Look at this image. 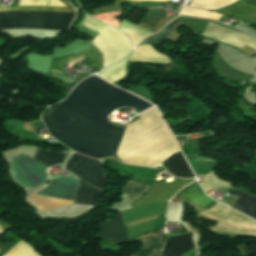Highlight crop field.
Returning <instances> with one entry per match:
<instances>
[{
	"label": "crop field",
	"instance_id": "8a807250",
	"mask_svg": "<svg viewBox=\"0 0 256 256\" xmlns=\"http://www.w3.org/2000/svg\"><path fill=\"white\" fill-rule=\"evenodd\" d=\"M60 104L122 132L105 117L123 106H132L140 112L152 106L95 76L82 81ZM61 105L51 106L42 115L50 134L86 156L99 159L114 154L123 133Z\"/></svg>",
	"mask_w": 256,
	"mask_h": 256
},
{
	"label": "crop field",
	"instance_id": "ac0d7876",
	"mask_svg": "<svg viewBox=\"0 0 256 256\" xmlns=\"http://www.w3.org/2000/svg\"><path fill=\"white\" fill-rule=\"evenodd\" d=\"M139 118L124 132L116 153L121 161L155 168L180 151L155 107L141 113Z\"/></svg>",
	"mask_w": 256,
	"mask_h": 256
},
{
	"label": "crop field",
	"instance_id": "34b2d1b8",
	"mask_svg": "<svg viewBox=\"0 0 256 256\" xmlns=\"http://www.w3.org/2000/svg\"><path fill=\"white\" fill-rule=\"evenodd\" d=\"M67 8L11 7L0 11L32 10L75 13V10L64 0H58ZM57 0H20L18 6L65 7ZM0 12V30L3 29H45L66 30L75 14L51 12Z\"/></svg>",
	"mask_w": 256,
	"mask_h": 256
},
{
	"label": "crop field",
	"instance_id": "412701ff",
	"mask_svg": "<svg viewBox=\"0 0 256 256\" xmlns=\"http://www.w3.org/2000/svg\"><path fill=\"white\" fill-rule=\"evenodd\" d=\"M82 26L99 34L92 44L103 54L104 68L132 50L124 35L88 15Z\"/></svg>",
	"mask_w": 256,
	"mask_h": 256
},
{
	"label": "crop field",
	"instance_id": "f4fd0767",
	"mask_svg": "<svg viewBox=\"0 0 256 256\" xmlns=\"http://www.w3.org/2000/svg\"><path fill=\"white\" fill-rule=\"evenodd\" d=\"M77 187V180L69 178H55L51 180V182L45 188L39 190L36 193L73 201ZM37 194H33L27 199L40 210H51L53 208L65 206L72 203L71 201L56 199Z\"/></svg>",
	"mask_w": 256,
	"mask_h": 256
},
{
	"label": "crop field",
	"instance_id": "dd49c442",
	"mask_svg": "<svg viewBox=\"0 0 256 256\" xmlns=\"http://www.w3.org/2000/svg\"><path fill=\"white\" fill-rule=\"evenodd\" d=\"M200 214L208 216L210 218L217 219L219 221L256 229V222L250 220L246 216L234 210L229 209L228 207L218 202L212 209H209ZM223 222H220L214 229L249 234V235H256V230L244 228L236 225H231Z\"/></svg>",
	"mask_w": 256,
	"mask_h": 256
},
{
	"label": "crop field",
	"instance_id": "e52e79f7",
	"mask_svg": "<svg viewBox=\"0 0 256 256\" xmlns=\"http://www.w3.org/2000/svg\"><path fill=\"white\" fill-rule=\"evenodd\" d=\"M12 167V175L23 186L36 187L46 177V166L25 156L19 155L8 160Z\"/></svg>",
	"mask_w": 256,
	"mask_h": 256
},
{
	"label": "crop field",
	"instance_id": "d8731c3e",
	"mask_svg": "<svg viewBox=\"0 0 256 256\" xmlns=\"http://www.w3.org/2000/svg\"><path fill=\"white\" fill-rule=\"evenodd\" d=\"M66 168L77 175L78 178L101 190L107 182L98 160L89 159L78 153L72 156Z\"/></svg>",
	"mask_w": 256,
	"mask_h": 256
},
{
	"label": "crop field",
	"instance_id": "5a996713",
	"mask_svg": "<svg viewBox=\"0 0 256 256\" xmlns=\"http://www.w3.org/2000/svg\"><path fill=\"white\" fill-rule=\"evenodd\" d=\"M195 179L174 178L173 182L154 184L149 192L142 198L131 203L132 207L140 206L146 203L159 202L169 199L179 188L191 183Z\"/></svg>",
	"mask_w": 256,
	"mask_h": 256
},
{
	"label": "crop field",
	"instance_id": "3316defc",
	"mask_svg": "<svg viewBox=\"0 0 256 256\" xmlns=\"http://www.w3.org/2000/svg\"><path fill=\"white\" fill-rule=\"evenodd\" d=\"M203 35L239 48L247 44L248 46L256 49L255 39L210 23H208Z\"/></svg>",
	"mask_w": 256,
	"mask_h": 256
},
{
	"label": "crop field",
	"instance_id": "28ad6ade",
	"mask_svg": "<svg viewBox=\"0 0 256 256\" xmlns=\"http://www.w3.org/2000/svg\"><path fill=\"white\" fill-rule=\"evenodd\" d=\"M99 236L113 244L128 242L120 212L99 225Z\"/></svg>",
	"mask_w": 256,
	"mask_h": 256
},
{
	"label": "crop field",
	"instance_id": "d1516ede",
	"mask_svg": "<svg viewBox=\"0 0 256 256\" xmlns=\"http://www.w3.org/2000/svg\"><path fill=\"white\" fill-rule=\"evenodd\" d=\"M192 248L194 246L190 233L171 236L165 242L162 256H181Z\"/></svg>",
	"mask_w": 256,
	"mask_h": 256
},
{
	"label": "crop field",
	"instance_id": "22f410ed",
	"mask_svg": "<svg viewBox=\"0 0 256 256\" xmlns=\"http://www.w3.org/2000/svg\"><path fill=\"white\" fill-rule=\"evenodd\" d=\"M175 197L182 198L204 208L211 206L215 201L209 199L201 190L198 182H194L181 190Z\"/></svg>",
	"mask_w": 256,
	"mask_h": 256
},
{
	"label": "crop field",
	"instance_id": "cbeb9de0",
	"mask_svg": "<svg viewBox=\"0 0 256 256\" xmlns=\"http://www.w3.org/2000/svg\"><path fill=\"white\" fill-rule=\"evenodd\" d=\"M162 164L172 175L183 178L195 177L181 152L172 155Z\"/></svg>",
	"mask_w": 256,
	"mask_h": 256
},
{
	"label": "crop field",
	"instance_id": "5142ce71",
	"mask_svg": "<svg viewBox=\"0 0 256 256\" xmlns=\"http://www.w3.org/2000/svg\"><path fill=\"white\" fill-rule=\"evenodd\" d=\"M129 61L170 63L169 58L156 52L149 45L137 47L131 54Z\"/></svg>",
	"mask_w": 256,
	"mask_h": 256
},
{
	"label": "crop field",
	"instance_id": "d9b57169",
	"mask_svg": "<svg viewBox=\"0 0 256 256\" xmlns=\"http://www.w3.org/2000/svg\"><path fill=\"white\" fill-rule=\"evenodd\" d=\"M217 11L240 17L248 21H256V8L250 6L246 0H240L235 4Z\"/></svg>",
	"mask_w": 256,
	"mask_h": 256
},
{
	"label": "crop field",
	"instance_id": "733c2abd",
	"mask_svg": "<svg viewBox=\"0 0 256 256\" xmlns=\"http://www.w3.org/2000/svg\"><path fill=\"white\" fill-rule=\"evenodd\" d=\"M229 190H238V189H229ZM238 191H243V192L249 193L244 190H238ZM238 191H229L230 194L241 195L240 198L237 200V202L234 206V209L239 210V211L243 212L244 214L256 219V198H254L248 194L238 192ZM249 194H251V193H249ZM251 195H253V194H251Z\"/></svg>",
	"mask_w": 256,
	"mask_h": 256
},
{
	"label": "crop field",
	"instance_id": "4a817a6b",
	"mask_svg": "<svg viewBox=\"0 0 256 256\" xmlns=\"http://www.w3.org/2000/svg\"><path fill=\"white\" fill-rule=\"evenodd\" d=\"M164 236L165 235H154L144 238L143 246L135 254V256H159Z\"/></svg>",
	"mask_w": 256,
	"mask_h": 256
},
{
	"label": "crop field",
	"instance_id": "bc2a9ffb",
	"mask_svg": "<svg viewBox=\"0 0 256 256\" xmlns=\"http://www.w3.org/2000/svg\"><path fill=\"white\" fill-rule=\"evenodd\" d=\"M100 193L101 190L94 188L80 180V186L76 195L75 203L94 205Z\"/></svg>",
	"mask_w": 256,
	"mask_h": 256
},
{
	"label": "crop field",
	"instance_id": "214f88e0",
	"mask_svg": "<svg viewBox=\"0 0 256 256\" xmlns=\"http://www.w3.org/2000/svg\"><path fill=\"white\" fill-rule=\"evenodd\" d=\"M128 58L129 55L126 58L115 63L111 67L107 68L103 72L99 73V75L108 80L109 82H111L112 84L115 83L120 78L125 76L126 62Z\"/></svg>",
	"mask_w": 256,
	"mask_h": 256
},
{
	"label": "crop field",
	"instance_id": "92a150f3",
	"mask_svg": "<svg viewBox=\"0 0 256 256\" xmlns=\"http://www.w3.org/2000/svg\"><path fill=\"white\" fill-rule=\"evenodd\" d=\"M64 156L65 154L62 153L38 149L34 158L47 165H51L62 162Z\"/></svg>",
	"mask_w": 256,
	"mask_h": 256
},
{
	"label": "crop field",
	"instance_id": "dafd665d",
	"mask_svg": "<svg viewBox=\"0 0 256 256\" xmlns=\"http://www.w3.org/2000/svg\"><path fill=\"white\" fill-rule=\"evenodd\" d=\"M147 189H148V186H145L140 183L128 181L126 182L122 192H124L129 199L134 200L136 197L140 196Z\"/></svg>",
	"mask_w": 256,
	"mask_h": 256
},
{
	"label": "crop field",
	"instance_id": "00972430",
	"mask_svg": "<svg viewBox=\"0 0 256 256\" xmlns=\"http://www.w3.org/2000/svg\"><path fill=\"white\" fill-rule=\"evenodd\" d=\"M180 23H182L181 19L170 22L167 26L163 28L161 32L148 37L141 44H151L154 40L167 38L175 30V26Z\"/></svg>",
	"mask_w": 256,
	"mask_h": 256
},
{
	"label": "crop field",
	"instance_id": "a9b5d70f",
	"mask_svg": "<svg viewBox=\"0 0 256 256\" xmlns=\"http://www.w3.org/2000/svg\"><path fill=\"white\" fill-rule=\"evenodd\" d=\"M234 1L236 0H193L190 6L202 9H216Z\"/></svg>",
	"mask_w": 256,
	"mask_h": 256
},
{
	"label": "crop field",
	"instance_id": "4177f3b9",
	"mask_svg": "<svg viewBox=\"0 0 256 256\" xmlns=\"http://www.w3.org/2000/svg\"><path fill=\"white\" fill-rule=\"evenodd\" d=\"M5 256H40V255L21 240Z\"/></svg>",
	"mask_w": 256,
	"mask_h": 256
},
{
	"label": "crop field",
	"instance_id": "730fd06b",
	"mask_svg": "<svg viewBox=\"0 0 256 256\" xmlns=\"http://www.w3.org/2000/svg\"><path fill=\"white\" fill-rule=\"evenodd\" d=\"M203 177L206 182H203L201 184L205 188L206 191H208L210 189L231 187L230 183H225V182H222L221 180H219L213 171Z\"/></svg>",
	"mask_w": 256,
	"mask_h": 256
},
{
	"label": "crop field",
	"instance_id": "eef30255",
	"mask_svg": "<svg viewBox=\"0 0 256 256\" xmlns=\"http://www.w3.org/2000/svg\"><path fill=\"white\" fill-rule=\"evenodd\" d=\"M181 15L197 16V17L217 19V20H219L220 17L222 16L219 13L206 12V11H203V10L193 9V8H188V7L183 8V10L181 12Z\"/></svg>",
	"mask_w": 256,
	"mask_h": 256
},
{
	"label": "crop field",
	"instance_id": "ae1a2a85",
	"mask_svg": "<svg viewBox=\"0 0 256 256\" xmlns=\"http://www.w3.org/2000/svg\"><path fill=\"white\" fill-rule=\"evenodd\" d=\"M148 1H165V0H148Z\"/></svg>",
	"mask_w": 256,
	"mask_h": 256
},
{
	"label": "crop field",
	"instance_id": "d3111659",
	"mask_svg": "<svg viewBox=\"0 0 256 256\" xmlns=\"http://www.w3.org/2000/svg\"><path fill=\"white\" fill-rule=\"evenodd\" d=\"M3 230H2V228L0 227V233L2 232Z\"/></svg>",
	"mask_w": 256,
	"mask_h": 256
},
{
	"label": "crop field",
	"instance_id": "750c4746",
	"mask_svg": "<svg viewBox=\"0 0 256 256\" xmlns=\"http://www.w3.org/2000/svg\"><path fill=\"white\" fill-rule=\"evenodd\" d=\"M40 121V120H39Z\"/></svg>",
	"mask_w": 256,
	"mask_h": 256
}]
</instances>
